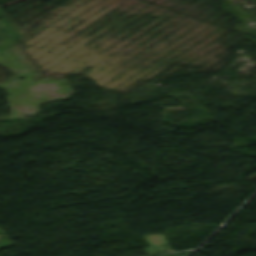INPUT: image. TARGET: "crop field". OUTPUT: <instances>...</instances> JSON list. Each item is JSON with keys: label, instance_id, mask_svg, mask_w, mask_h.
<instances>
[{"label": "crop field", "instance_id": "1", "mask_svg": "<svg viewBox=\"0 0 256 256\" xmlns=\"http://www.w3.org/2000/svg\"><path fill=\"white\" fill-rule=\"evenodd\" d=\"M0 238H1V235H0Z\"/></svg>", "mask_w": 256, "mask_h": 256}]
</instances>
